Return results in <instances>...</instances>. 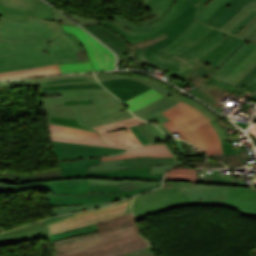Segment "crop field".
<instances>
[{
  "label": "crop field",
  "instance_id": "obj_1",
  "mask_svg": "<svg viewBox=\"0 0 256 256\" xmlns=\"http://www.w3.org/2000/svg\"><path fill=\"white\" fill-rule=\"evenodd\" d=\"M192 3L162 31L169 37L137 51L138 61L168 71L179 87H197L246 40L195 21Z\"/></svg>",
  "mask_w": 256,
  "mask_h": 256
},
{
  "label": "crop field",
  "instance_id": "obj_2",
  "mask_svg": "<svg viewBox=\"0 0 256 256\" xmlns=\"http://www.w3.org/2000/svg\"><path fill=\"white\" fill-rule=\"evenodd\" d=\"M59 22L29 17L26 23L0 18V72L48 64L87 62L62 33Z\"/></svg>",
  "mask_w": 256,
  "mask_h": 256
},
{
  "label": "crop field",
  "instance_id": "obj_3",
  "mask_svg": "<svg viewBox=\"0 0 256 256\" xmlns=\"http://www.w3.org/2000/svg\"><path fill=\"white\" fill-rule=\"evenodd\" d=\"M96 224L99 232L51 242L53 256H114L150 246L131 214Z\"/></svg>",
  "mask_w": 256,
  "mask_h": 256
},
{
  "label": "crop field",
  "instance_id": "obj_4",
  "mask_svg": "<svg viewBox=\"0 0 256 256\" xmlns=\"http://www.w3.org/2000/svg\"><path fill=\"white\" fill-rule=\"evenodd\" d=\"M190 3L188 0H150L143 6L157 17L133 23L116 14L101 24L122 36L128 42V50L144 48L167 37L161 30Z\"/></svg>",
  "mask_w": 256,
  "mask_h": 256
},
{
  "label": "crop field",
  "instance_id": "obj_5",
  "mask_svg": "<svg viewBox=\"0 0 256 256\" xmlns=\"http://www.w3.org/2000/svg\"><path fill=\"white\" fill-rule=\"evenodd\" d=\"M194 205L226 206L240 214L256 217V187L192 184L179 187ZM256 256V249L250 251Z\"/></svg>",
  "mask_w": 256,
  "mask_h": 256
},
{
  "label": "crop field",
  "instance_id": "obj_6",
  "mask_svg": "<svg viewBox=\"0 0 256 256\" xmlns=\"http://www.w3.org/2000/svg\"><path fill=\"white\" fill-rule=\"evenodd\" d=\"M255 66L256 44L246 41L215 73L200 84L199 87L219 101L229 92L239 95L243 90L234 86ZM224 83H227V85Z\"/></svg>",
  "mask_w": 256,
  "mask_h": 256
},
{
  "label": "crop field",
  "instance_id": "obj_7",
  "mask_svg": "<svg viewBox=\"0 0 256 256\" xmlns=\"http://www.w3.org/2000/svg\"><path fill=\"white\" fill-rule=\"evenodd\" d=\"M63 94V96H84L92 100L96 107L76 109L80 122L97 126L129 117H133L124 104L104 88L42 91V95Z\"/></svg>",
  "mask_w": 256,
  "mask_h": 256
},
{
  "label": "crop field",
  "instance_id": "obj_8",
  "mask_svg": "<svg viewBox=\"0 0 256 256\" xmlns=\"http://www.w3.org/2000/svg\"><path fill=\"white\" fill-rule=\"evenodd\" d=\"M191 183L166 182L164 186L136 196L133 202V214L139 218L162 211L193 205L188 195L176 186Z\"/></svg>",
  "mask_w": 256,
  "mask_h": 256
},
{
  "label": "crop field",
  "instance_id": "obj_9",
  "mask_svg": "<svg viewBox=\"0 0 256 256\" xmlns=\"http://www.w3.org/2000/svg\"><path fill=\"white\" fill-rule=\"evenodd\" d=\"M59 164L65 179L92 178L162 182L163 175V172L158 174H149V166L127 170L87 173V165H100V157L64 161L59 162Z\"/></svg>",
  "mask_w": 256,
  "mask_h": 256
},
{
  "label": "crop field",
  "instance_id": "obj_10",
  "mask_svg": "<svg viewBox=\"0 0 256 256\" xmlns=\"http://www.w3.org/2000/svg\"><path fill=\"white\" fill-rule=\"evenodd\" d=\"M131 199L132 198L105 208L75 213L73 216L49 221L45 224L47 225L50 233L54 234L130 214Z\"/></svg>",
  "mask_w": 256,
  "mask_h": 256
},
{
  "label": "crop field",
  "instance_id": "obj_11",
  "mask_svg": "<svg viewBox=\"0 0 256 256\" xmlns=\"http://www.w3.org/2000/svg\"><path fill=\"white\" fill-rule=\"evenodd\" d=\"M162 114L183 130L191 144L208 154L206 140L197 127L211 121L202 112L180 101Z\"/></svg>",
  "mask_w": 256,
  "mask_h": 256
},
{
  "label": "crop field",
  "instance_id": "obj_12",
  "mask_svg": "<svg viewBox=\"0 0 256 256\" xmlns=\"http://www.w3.org/2000/svg\"><path fill=\"white\" fill-rule=\"evenodd\" d=\"M96 76L99 81L114 79V78H131L136 81H141V82L153 87L159 93H161L163 96H165V97L147 105L146 107L133 112L135 115L141 117L142 119H144L146 121H150V119H155L159 123H163V122L169 120L164 115H162L160 112L165 109L171 108L177 102H179V100L176 99L178 94H176L175 92H171L168 89L161 86L160 84L152 82L151 80H147L145 78L135 77V76H121V75H115V74H96Z\"/></svg>",
  "mask_w": 256,
  "mask_h": 256
},
{
  "label": "crop field",
  "instance_id": "obj_13",
  "mask_svg": "<svg viewBox=\"0 0 256 256\" xmlns=\"http://www.w3.org/2000/svg\"><path fill=\"white\" fill-rule=\"evenodd\" d=\"M84 47L95 71L114 69L115 55L79 26L62 24Z\"/></svg>",
  "mask_w": 256,
  "mask_h": 256
},
{
  "label": "crop field",
  "instance_id": "obj_14",
  "mask_svg": "<svg viewBox=\"0 0 256 256\" xmlns=\"http://www.w3.org/2000/svg\"><path fill=\"white\" fill-rule=\"evenodd\" d=\"M28 16L52 20V8L41 0H0V17L25 22Z\"/></svg>",
  "mask_w": 256,
  "mask_h": 256
},
{
  "label": "crop field",
  "instance_id": "obj_15",
  "mask_svg": "<svg viewBox=\"0 0 256 256\" xmlns=\"http://www.w3.org/2000/svg\"><path fill=\"white\" fill-rule=\"evenodd\" d=\"M146 165H150V173H158L165 171L171 167L183 166V163L179 160L178 157L149 158V156H145L123 160L101 161L100 166H88V172L106 171L112 169H126Z\"/></svg>",
  "mask_w": 256,
  "mask_h": 256
},
{
  "label": "crop field",
  "instance_id": "obj_16",
  "mask_svg": "<svg viewBox=\"0 0 256 256\" xmlns=\"http://www.w3.org/2000/svg\"><path fill=\"white\" fill-rule=\"evenodd\" d=\"M57 160L119 154L125 149L53 142Z\"/></svg>",
  "mask_w": 256,
  "mask_h": 256
},
{
  "label": "crop field",
  "instance_id": "obj_17",
  "mask_svg": "<svg viewBox=\"0 0 256 256\" xmlns=\"http://www.w3.org/2000/svg\"><path fill=\"white\" fill-rule=\"evenodd\" d=\"M51 206L78 205L122 199L121 194L89 193V195H49Z\"/></svg>",
  "mask_w": 256,
  "mask_h": 256
},
{
  "label": "crop field",
  "instance_id": "obj_18",
  "mask_svg": "<svg viewBox=\"0 0 256 256\" xmlns=\"http://www.w3.org/2000/svg\"><path fill=\"white\" fill-rule=\"evenodd\" d=\"M89 99L85 97H56L42 99L46 116L79 119L75 108L91 105L64 106V100Z\"/></svg>",
  "mask_w": 256,
  "mask_h": 256
},
{
  "label": "crop field",
  "instance_id": "obj_19",
  "mask_svg": "<svg viewBox=\"0 0 256 256\" xmlns=\"http://www.w3.org/2000/svg\"><path fill=\"white\" fill-rule=\"evenodd\" d=\"M49 234L43 222H37L11 231L0 234V243L4 242H20L30 239H40L48 237Z\"/></svg>",
  "mask_w": 256,
  "mask_h": 256
},
{
  "label": "crop field",
  "instance_id": "obj_20",
  "mask_svg": "<svg viewBox=\"0 0 256 256\" xmlns=\"http://www.w3.org/2000/svg\"><path fill=\"white\" fill-rule=\"evenodd\" d=\"M111 93L123 101L147 90L150 87L130 79H114L101 82Z\"/></svg>",
  "mask_w": 256,
  "mask_h": 256
},
{
  "label": "crop field",
  "instance_id": "obj_21",
  "mask_svg": "<svg viewBox=\"0 0 256 256\" xmlns=\"http://www.w3.org/2000/svg\"><path fill=\"white\" fill-rule=\"evenodd\" d=\"M83 27L90 31L121 57H123L127 52L126 41L108 28L102 25H88Z\"/></svg>",
  "mask_w": 256,
  "mask_h": 256
},
{
  "label": "crop field",
  "instance_id": "obj_22",
  "mask_svg": "<svg viewBox=\"0 0 256 256\" xmlns=\"http://www.w3.org/2000/svg\"><path fill=\"white\" fill-rule=\"evenodd\" d=\"M42 186L47 194H88V179L51 181Z\"/></svg>",
  "mask_w": 256,
  "mask_h": 256
},
{
  "label": "crop field",
  "instance_id": "obj_23",
  "mask_svg": "<svg viewBox=\"0 0 256 256\" xmlns=\"http://www.w3.org/2000/svg\"><path fill=\"white\" fill-rule=\"evenodd\" d=\"M150 155V157H167L175 156L170 148L165 144H156V145H145L134 147L120 155L101 157V160H111V159H123Z\"/></svg>",
  "mask_w": 256,
  "mask_h": 256
},
{
  "label": "crop field",
  "instance_id": "obj_24",
  "mask_svg": "<svg viewBox=\"0 0 256 256\" xmlns=\"http://www.w3.org/2000/svg\"><path fill=\"white\" fill-rule=\"evenodd\" d=\"M253 0H229L223 4L205 23L220 29L228 22L245 4Z\"/></svg>",
  "mask_w": 256,
  "mask_h": 256
},
{
  "label": "crop field",
  "instance_id": "obj_25",
  "mask_svg": "<svg viewBox=\"0 0 256 256\" xmlns=\"http://www.w3.org/2000/svg\"><path fill=\"white\" fill-rule=\"evenodd\" d=\"M50 135L53 141L58 142H68V143H78V144H89V145H101L129 149L131 147L126 146H116V145H106L100 138L83 135L79 133L67 132L50 129Z\"/></svg>",
  "mask_w": 256,
  "mask_h": 256
},
{
  "label": "crop field",
  "instance_id": "obj_26",
  "mask_svg": "<svg viewBox=\"0 0 256 256\" xmlns=\"http://www.w3.org/2000/svg\"><path fill=\"white\" fill-rule=\"evenodd\" d=\"M139 124H146V122L136 117H133V118H129V119H125V120H121V121H117V122H113V123H109V124H105V125H101L93 128L99 132L104 142L119 145V141L115 135L114 130L123 129L126 127H132Z\"/></svg>",
  "mask_w": 256,
  "mask_h": 256
},
{
  "label": "crop field",
  "instance_id": "obj_27",
  "mask_svg": "<svg viewBox=\"0 0 256 256\" xmlns=\"http://www.w3.org/2000/svg\"><path fill=\"white\" fill-rule=\"evenodd\" d=\"M178 99L196 107L197 109H199L200 111H202L209 119H211L213 122H211V124L216 128L220 138H221V141H222V147H223V153L224 155H229V154H239V151L240 148L239 147H236V148H232L231 149V144L230 143H233L235 141H238V140H232V141H228L223 129L221 128V126L215 121L217 119H219V117H217L216 115H214L212 112H210L208 109H206L204 106H202L201 104L195 102V101H192L188 98H185L181 95H179Z\"/></svg>",
  "mask_w": 256,
  "mask_h": 256
},
{
  "label": "crop field",
  "instance_id": "obj_28",
  "mask_svg": "<svg viewBox=\"0 0 256 256\" xmlns=\"http://www.w3.org/2000/svg\"><path fill=\"white\" fill-rule=\"evenodd\" d=\"M78 77H86L87 81L86 82H71V83H55V84H49V85L97 82L94 74H82V75L55 76V77H47V78H36V79L5 81V82H0V87L39 86L38 82L49 81V80H56V79H61V78H78ZM43 86H48V85H43Z\"/></svg>",
  "mask_w": 256,
  "mask_h": 256
},
{
  "label": "crop field",
  "instance_id": "obj_29",
  "mask_svg": "<svg viewBox=\"0 0 256 256\" xmlns=\"http://www.w3.org/2000/svg\"><path fill=\"white\" fill-rule=\"evenodd\" d=\"M54 74H60L57 64L25 69V70L1 72L0 79L28 77V76H41V75H54Z\"/></svg>",
  "mask_w": 256,
  "mask_h": 256
},
{
  "label": "crop field",
  "instance_id": "obj_30",
  "mask_svg": "<svg viewBox=\"0 0 256 256\" xmlns=\"http://www.w3.org/2000/svg\"><path fill=\"white\" fill-rule=\"evenodd\" d=\"M198 128L201 130L207 140L209 155H223L221 141L214 127L210 123H207Z\"/></svg>",
  "mask_w": 256,
  "mask_h": 256
},
{
  "label": "crop field",
  "instance_id": "obj_31",
  "mask_svg": "<svg viewBox=\"0 0 256 256\" xmlns=\"http://www.w3.org/2000/svg\"><path fill=\"white\" fill-rule=\"evenodd\" d=\"M198 5L197 20L205 23L206 20L227 0H191Z\"/></svg>",
  "mask_w": 256,
  "mask_h": 256
},
{
  "label": "crop field",
  "instance_id": "obj_32",
  "mask_svg": "<svg viewBox=\"0 0 256 256\" xmlns=\"http://www.w3.org/2000/svg\"><path fill=\"white\" fill-rule=\"evenodd\" d=\"M89 184L119 186L121 191L137 189V188H145V187H154V186L161 185V183H152V182L91 180V179H89Z\"/></svg>",
  "mask_w": 256,
  "mask_h": 256
},
{
  "label": "crop field",
  "instance_id": "obj_33",
  "mask_svg": "<svg viewBox=\"0 0 256 256\" xmlns=\"http://www.w3.org/2000/svg\"><path fill=\"white\" fill-rule=\"evenodd\" d=\"M197 169L193 168H174L168 171L165 175L166 181H185V182H197L198 176H195Z\"/></svg>",
  "mask_w": 256,
  "mask_h": 256
},
{
  "label": "crop field",
  "instance_id": "obj_34",
  "mask_svg": "<svg viewBox=\"0 0 256 256\" xmlns=\"http://www.w3.org/2000/svg\"><path fill=\"white\" fill-rule=\"evenodd\" d=\"M163 97L156 90L150 89L126 102H124L131 110V112L151 103L154 100Z\"/></svg>",
  "mask_w": 256,
  "mask_h": 256
},
{
  "label": "crop field",
  "instance_id": "obj_35",
  "mask_svg": "<svg viewBox=\"0 0 256 256\" xmlns=\"http://www.w3.org/2000/svg\"><path fill=\"white\" fill-rule=\"evenodd\" d=\"M96 231H98L97 227L95 224H93V225H89V226H86L83 228L73 229V230H70L67 232L51 235V237H49V240H50V242L57 241V240L70 238V237H74V236H79V235L92 233V232H96Z\"/></svg>",
  "mask_w": 256,
  "mask_h": 256
},
{
  "label": "crop field",
  "instance_id": "obj_36",
  "mask_svg": "<svg viewBox=\"0 0 256 256\" xmlns=\"http://www.w3.org/2000/svg\"><path fill=\"white\" fill-rule=\"evenodd\" d=\"M253 9L256 10V0L245 5L227 24H225L221 30L229 32L234 26H236L246 15H248Z\"/></svg>",
  "mask_w": 256,
  "mask_h": 256
},
{
  "label": "crop field",
  "instance_id": "obj_37",
  "mask_svg": "<svg viewBox=\"0 0 256 256\" xmlns=\"http://www.w3.org/2000/svg\"><path fill=\"white\" fill-rule=\"evenodd\" d=\"M136 128L148 139L150 143L165 138L166 136L151 124L139 125Z\"/></svg>",
  "mask_w": 256,
  "mask_h": 256
},
{
  "label": "crop field",
  "instance_id": "obj_38",
  "mask_svg": "<svg viewBox=\"0 0 256 256\" xmlns=\"http://www.w3.org/2000/svg\"><path fill=\"white\" fill-rule=\"evenodd\" d=\"M111 203H113V202L86 204V205H79V206L53 209L52 211H53L54 215L67 214V213H73V212H78V211L90 210V209H94V208H97V207L106 206V205L111 204Z\"/></svg>",
  "mask_w": 256,
  "mask_h": 256
},
{
  "label": "crop field",
  "instance_id": "obj_39",
  "mask_svg": "<svg viewBox=\"0 0 256 256\" xmlns=\"http://www.w3.org/2000/svg\"><path fill=\"white\" fill-rule=\"evenodd\" d=\"M149 189H152V188H145V189H137V190L120 192L118 187L89 185V191L122 193L124 198L135 195V194H138V193H141V192H145Z\"/></svg>",
  "mask_w": 256,
  "mask_h": 256
},
{
  "label": "crop field",
  "instance_id": "obj_40",
  "mask_svg": "<svg viewBox=\"0 0 256 256\" xmlns=\"http://www.w3.org/2000/svg\"><path fill=\"white\" fill-rule=\"evenodd\" d=\"M119 140L120 145L136 146L141 145L138 138L133 134L130 128L115 131Z\"/></svg>",
  "mask_w": 256,
  "mask_h": 256
},
{
  "label": "crop field",
  "instance_id": "obj_41",
  "mask_svg": "<svg viewBox=\"0 0 256 256\" xmlns=\"http://www.w3.org/2000/svg\"><path fill=\"white\" fill-rule=\"evenodd\" d=\"M236 35L256 42V16L250 20Z\"/></svg>",
  "mask_w": 256,
  "mask_h": 256
},
{
  "label": "crop field",
  "instance_id": "obj_42",
  "mask_svg": "<svg viewBox=\"0 0 256 256\" xmlns=\"http://www.w3.org/2000/svg\"><path fill=\"white\" fill-rule=\"evenodd\" d=\"M48 123H53V124H59V125H65V126H70L78 129H83L87 131H92L91 129L81 125L78 120H72V119H62V118H52V117H46ZM96 133V132H95Z\"/></svg>",
  "mask_w": 256,
  "mask_h": 256
},
{
  "label": "crop field",
  "instance_id": "obj_43",
  "mask_svg": "<svg viewBox=\"0 0 256 256\" xmlns=\"http://www.w3.org/2000/svg\"><path fill=\"white\" fill-rule=\"evenodd\" d=\"M54 180L53 177L41 179V180H28V181H18L19 190L25 189H35L38 186L50 184L49 181Z\"/></svg>",
  "mask_w": 256,
  "mask_h": 256
},
{
  "label": "crop field",
  "instance_id": "obj_44",
  "mask_svg": "<svg viewBox=\"0 0 256 256\" xmlns=\"http://www.w3.org/2000/svg\"><path fill=\"white\" fill-rule=\"evenodd\" d=\"M62 73L93 71L91 63L59 65Z\"/></svg>",
  "mask_w": 256,
  "mask_h": 256
},
{
  "label": "crop field",
  "instance_id": "obj_45",
  "mask_svg": "<svg viewBox=\"0 0 256 256\" xmlns=\"http://www.w3.org/2000/svg\"><path fill=\"white\" fill-rule=\"evenodd\" d=\"M189 93H191V94L195 95L196 97L202 99L203 101L208 103L213 108L221 111V109L219 108L218 102L216 100H214L211 96H209L207 93L202 91L200 88L197 87L195 90H193Z\"/></svg>",
  "mask_w": 256,
  "mask_h": 256
},
{
  "label": "crop field",
  "instance_id": "obj_46",
  "mask_svg": "<svg viewBox=\"0 0 256 256\" xmlns=\"http://www.w3.org/2000/svg\"><path fill=\"white\" fill-rule=\"evenodd\" d=\"M96 87H102V86L99 83H91V84L48 86V87H40V88L41 90H53V89L96 88Z\"/></svg>",
  "mask_w": 256,
  "mask_h": 256
},
{
  "label": "crop field",
  "instance_id": "obj_47",
  "mask_svg": "<svg viewBox=\"0 0 256 256\" xmlns=\"http://www.w3.org/2000/svg\"><path fill=\"white\" fill-rule=\"evenodd\" d=\"M243 90L245 91L242 94H240V96L256 100V78L249 84H247V86L243 88Z\"/></svg>",
  "mask_w": 256,
  "mask_h": 256
},
{
  "label": "crop field",
  "instance_id": "obj_48",
  "mask_svg": "<svg viewBox=\"0 0 256 256\" xmlns=\"http://www.w3.org/2000/svg\"><path fill=\"white\" fill-rule=\"evenodd\" d=\"M118 256H159L158 253L152 248H146Z\"/></svg>",
  "mask_w": 256,
  "mask_h": 256
},
{
  "label": "crop field",
  "instance_id": "obj_49",
  "mask_svg": "<svg viewBox=\"0 0 256 256\" xmlns=\"http://www.w3.org/2000/svg\"><path fill=\"white\" fill-rule=\"evenodd\" d=\"M163 125L173 134L177 133L180 136V139L187 141L186 137L182 133L181 129L178 128L174 123L170 120L163 123ZM174 136V135H173ZM188 142V141H187Z\"/></svg>",
  "mask_w": 256,
  "mask_h": 256
},
{
  "label": "crop field",
  "instance_id": "obj_50",
  "mask_svg": "<svg viewBox=\"0 0 256 256\" xmlns=\"http://www.w3.org/2000/svg\"><path fill=\"white\" fill-rule=\"evenodd\" d=\"M256 77V67L250 72L248 73L237 85L236 87L242 89L243 87H245V85L250 82L251 80H253Z\"/></svg>",
  "mask_w": 256,
  "mask_h": 256
},
{
  "label": "crop field",
  "instance_id": "obj_51",
  "mask_svg": "<svg viewBox=\"0 0 256 256\" xmlns=\"http://www.w3.org/2000/svg\"><path fill=\"white\" fill-rule=\"evenodd\" d=\"M53 20L60 21L61 23H65V24L76 25L71 20H69L65 15H63L62 13H60L59 11H57L54 8H53Z\"/></svg>",
  "mask_w": 256,
  "mask_h": 256
},
{
  "label": "crop field",
  "instance_id": "obj_52",
  "mask_svg": "<svg viewBox=\"0 0 256 256\" xmlns=\"http://www.w3.org/2000/svg\"><path fill=\"white\" fill-rule=\"evenodd\" d=\"M256 15V11H252L248 16H246L236 27H234L230 33L236 34L250 19Z\"/></svg>",
  "mask_w": 256,
  "mask_h": 256
},
{
  "label": "crop field",
  "instance_id": "obj_53",
  "mask_svg": "<svg viewBox=\"0 0 256 256\" xmlns=\"http://www.w3.org/2000/svg\"><path fill=\"white\" fill-rule=\"evenodd\" d=\"M48 127L49 128H54V129H60V130L79 132V133H83V134H88V135H93V136L99 137L98 134L87 132V131H82V130H78V129H74V128H70V127H64V126H58V125H52V124H48Z\"/></svg>",
  "mask_w": 256,
  "mask_h": 256
},
{
  "label": "crop field",
  "instance_id": "obj_54",
  "mask_svg": "<svg viewBox=\"0 0 256 256\" xmlns=\"http://www.w3.org/2000/svg\"><path fill=\"white\" fill-rule=\"evenodd\" d=\"M70 17H72L74 20H76L77 22H79L81 25H87V24H100L101 21L98 20H92V19H86V18H82V17H78L72 14H68Z\"/></svg>",
  "mask_w": 256,
  "mask_h": 256
},
{
  "label": "crop field",
  "instance_id": "obj_55",
  "mask_svg": "<svg viewBox=\"0 0 256 256\" xmlns=\"http://www.w3.org/2000/svg\"><path fill=\"white\" fill-rule=\"evenodd\" d=\"M131 129H132V131L134 132V134L139 138V140L141 141V143H142L143 145L149 144V142L147 141V139H146L135 127H132Z\"/></svg>",
  "mask_w": 256,
  "mask_h": 256
},
{
  "label": "crop field",
  "instance_id": "obj_56",
  "mask_svg": "<svg viewBox=\"0 0 256 256\" xmlns=\"http://www.w3.org/2000/svg\"><path fill=\"white\" fill-rule=\"evenodd\" d=\"M85 78H78V79H61V80H56V81H49V82H43L39 83L40 85L43 84H49V83H55V82H70V81H85Z\"/></svg>",
  "mask_w": 256,
  "mask_h": 256
},
{
  "label": "crop field",
  "instance_id": "obj_57",
  "mask_svg": "<svg viewBox=\"0 0 256 256\" xmlns=\"http://www.w3.org/2000/svg\"><path fill=\"white\" fill-rule=\"evenodd\" d=\"M90 100L65 101V105L90 104Z\"/></svg>",
  "mask_w": 256,
  "mask_h": 256
},
{
  "label": "crop field",
  "instance_id": "obj_58",
  "mask_svg": "<svg viewBox=\"0 0 256 256\" xmlns=\"http://www.w3.org/2000/svg\"><path fill=\"white\" fill-rule=\"evenodd\" d=\"M63 33H65L66 35H68V36L76 43V45L80 48L81 52H84L83 47L80 45V43H79L71 34H68V33H66V32H63Z\"/></svg>",
  "mask_w": 256,
  "mask_h": 256
},
{
  "label": "crop field",
  "instance_id": "obj_59",
  "mask_svg": "<svg viewBox=\"0 0 256 256\" xmlns=\"http://www.w3.org/2000/svg\"><path fill=\"white\" fill-rule=\"evenodd\" d=\"M173 141L175 142V144L177 145V147L179 148L180 152L181 153H184V150H183V146H182V143L180 140L178 139H173ZM185 154V153H184Z\"/></svg>",
  "mask_w": 256,
  "mask_h": 256
},
{
  "label": "crop field",
  "instance_id": "obj_60",
  "mask_svg": "<svg viewBox=\"0 0 256 256\" xmlns=\"http://www.w3.org/2000/svg\"><path fill=\"white\" fill-rule=\"evenodd\" d=\"M182 143H183V146H184L185 153L186 154H191V150H190L189 144H187V143H185L183 141H182Z\"/></svg>",
  "mask_w": 256,
  "mask_h": 256
},
{
  "label": "crop field",
  "instance_id": "obj_61",
  "mask_svg": "<svg viewBox=\"0 0 256 256\" xmlns=\"http://www.w3.org/2000/svg\"><path fill=\"white\" fill-rule=\"evenodd\" d=\"M158 127H160V128L163 130V132H165L168 136L173 137V136L171 135V133H170L165 127L162 126V124L159 125Z\"/></svg>",
  "mask_w": 256,
  "mask_h": 256
},
{
  "label": "crop field",
  "instance_id": "obj_62",
  "mask_svg": "<svg viewBox=\"0 0 256 256\" xmlns=\"http://www.w3.org/2000/svg\"><path fill=\"white\" fill-rule=\"evenodd\" d=\"M238 125H240L242 128L246 129L249 125V123L245 124V123H242V122H236Z\"/></svg>",
  "mask_w": 256,
  "mask_h": 256
},
{
  "label": "crop field",
  "instance_id": "obj_63",
  "mask_svg": "<svg viewBox=\"0 0 256 256\" xmlns=\"http://www.w3.org/2000/svg\"><path fill=\"white\" fill-rule=\"evenodd\" d=\"M233 185H237V186H247V185H245L244 182H238V183L233 184ZM248 187H251V186H248Z\"/></svg>",
  "mask_w": 256,
  "mask_h": 256
},
{
  "label": "crop field",
  "instance_id": "obj_64",
  "mask_svg": "<svg viewBox=\"0 0 256 256\" xmlns=\"http://www.w3.org/2000/svg\"><path fill=\"white\" fill-rule=\"evenodd\" d=\"M70 215H72V214H70ZM70 215H66V216H70ZM66 216L56 217V218L48 219V220H45V221H49V220H53V219H57V218H62V217H66Z\"/></svg>",
  "mask_w": 256,
  "mask_h": 256
},
{
  "label": "crop field",
  "instance_id": "obj_65",
  "mask_svg": "<svg viewBox=\"0 0 256 256\" xmlns=\"http://www.w3.org/2000/svg\"><path fill=\"white\" fill-rule=\"evenodd\" d=\"M147 1H149V0H143V1L140 2V3L143 5V4L146 3Z\"/></svg>",
  "mask_w": 256,
  "mask_h": 256
},
{
  "label": "crop field",
  "instance_id": "obj_66",
  "mask_svg": "<svg viewBox=\"0 0 256 256\" xmlns=\"http://www.w3.org/2000/svg\"><path fill=\"white\" fill-rule=\"evenodd\" d=\"M47 1L50 2L51 4H52V2H53L52 0H47Z\"/></svg>",
  "mask_w": 256,
  "mask_h": 256
}]
</instances>
